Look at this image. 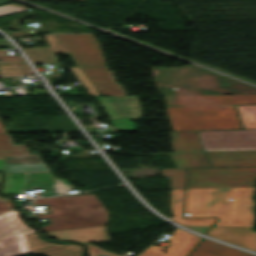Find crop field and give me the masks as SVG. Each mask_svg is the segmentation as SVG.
Here are the masks:
<instances>
[{
  "instance_id": "crop-field-25",
  "label": "crop field",
  "mask_w": 256,
  "mask_h": 256,
  "mask_svg": "<svg viewBox=\"0 0 256 256\" xmlns=\"http://www.w3.org/2000/svg\"><path fill=\"white\" fill-rule=\"evenodd\" d=\"M243 128L256 129V105L236 106Z\"/></svg>"
},
{
  "instance_id": "crop-field-24",
  "label": "crop field",
  "mask_w": 256,
  "mask_h": 256,
  "mask_svg": "<svg viewBox=\"0 0 256 256\" xmlns=\"http://www.w3.org/2000/svg\"><path fill=\"white\" fill-rule=\"evenodd\" d=\"M29 154L25 145H12L8 134H0V155L19 156Z\"/></svg>"
},
{
  "instance_id": "crop-field-36",
  "label": "crop field",
  "mask_w": 256,
  "mask_h": 256,
  "mask_svg": "<svg viewBox=\"0 0 256 256\" xmlns=\"http://www.w3.org/2000/svg\"><path fill=\"white\" fill-rule=\"evenodd\" d=\"M8 205H9V207L12 209V206H11V201H8V202H6Z\"/></svg>"
},
{
  "instance_id": "crop-field-2",
  "label": "crop field",
  "mask_w": 256,
  "mask_h": 256,
  "mask_svg": "<svg viewBox=\"0 0 256 256\" xmlns=\"http://www.w3.org/2000/svg\"><path fill=\"white\" fill-rule=\"evenodd\" d=\"M255 188L187 189L184 213L190 216H217L214 225L253 226L251 201ZM233 198V200H228Z\"/></svg>"
},
{
  "instance_id": "crop-field-37",
  "label": "crop field",
  "mask_w": 256,
  "mask_h": 256,
  "mask_svg": "<svg viewBox=\"0 0 256 256\" xmlns=\"http://www.w3.org/2000/svg\"><path fill=\"white\" fill-rule=\"evenodd\" d=\"M10 0H0V3L8 2Z\"/></svg>"
},
{
  "instance_id": "crop-field-12",
  "label": "crop field",
  "mask_w": 256,
  "mask_h": 256,
  "mask_svg": "<svg viewBox=\"0 0 256 256\" xmlns=\"http://www.w3.org/2000/svg\"><path fill=\"white\" fill-rule=\"evenodd\" d=\"M252 227L212 226L207 235L256 251V233Z\"/></svg>"
},
{
  "instance_id": "crop-field-9",
  "label": "crop field",
  "mask_w": 256,
  "mask_h": 256,
  "mask_svg": "<svg viewBox=\"0 0 256 256\" xmlns=\"http://www.w3.org/2000/svg\"><path fill=\"white\" fill-rule=\"evenodd\" d=\"M69 50L78 66H105L92 34H55Z\"/></svg>"
},
{
  "instance_id": "crop-field-21",
  "label": "crop field",
  "mask_w": 256,
  "mask_h": 256,
  "mask_svg": "<svg viewBox=\"0 0 256 256\" xmlns=\"http://www.w3.org/2000/svg\"><path fill=\"white\" fill-rule=\"evenodd\" d=\"M175 152L202 151L195 131L172 132Z\"/></svg>"
},
{
  "instance_id": "crop-field-18",
  "label": "crop field",
  "mask_w": 256,
  "mask_h": 256,
  "mask_svg": "<svg viewBox=\"0 0 256 256\" xmlns=\"http://www.w3.org/2000/svg\"><path fill=\"white\" fill-rule=\"evenodd\" d=\"M30 233L34 232L19 219L16 211L0 215V239Z\"/></svg>"
},
{
  "instance_id": "crop-field-15",
  "label": "crop field",
  "mask_w": 256,
  "mask_h": 256,
  "mask_svg": "<svg viewBox=\"0 0 256 256\" xmlns=\"http://www.w3.org/2000/svg\"><path fill=\"white\" fill-rule=\"evenodd\" d=\"M32 254L43 256H80L81 246L54 245L40 240L36 234L25 235Z\"/></svg>"
},
{
  "instance_id": "crop-field-28",
  "label": "crop field",
  "mask_w": 256,
  "mask_h": 256,
  "mask_svg": "<svg viewBox=\"0 0 256 256\" xmlns=\"http://www.w3.org/2000/svg\"><path fill=\"white\" fill-rule=\"evenodd\" d=\"M118 131H132L136 130L129 119L110 120Z\"/></svg>"
},
{
  "instance_id": "crop-field-3",
  "label": "crop field",
  "mask_w": 256,
  "mask_h": 256,
  "mask_svg": "<svg viewBox=\"0 0 256 256\" xmlns=\"http://www.w3.org/2000/svg\"><path fill=\"white\" fill-rule=\"evenodd\" d=\"M162 94H252L256 89L229 80L193 65L152 68ZM176 87L177 90H173Z\"/></svg>"
},
{
  "instance_id": "crop-field-1",
  "label": "crop field",
  "mask_w": 256,
  "mask_h": 256,
  "mask_svg": "<svg viewBox=\"0 0 256 256\" xmlns=\"http://www.w3.org/2000/svg\"><path fill=\"white\" fill-rule=\"evenodd\" d=\"M173 131L241 129L233 106L254 104L253 95H164Z\"/></svg>"
},
{
  "instance_id": "crop-field-6",
  "label": "crop field",
  "mask_w": 256,
  "mask_h": 256,
  "mask_svg": "<svg viewBox=\"0 0 256 256\" xmlns=\"http://www.w3.org/2000/svg\"><path fill=\"white\" fill-rule=\"evenodd\" d=\"M204 150L256 149V130L197 131Z\"/></svg>"
},
{
  "instance_id": "crop-field-17",
  "label": "crop field",
  "mask_w": 256,
  "mask_h": 256,
  "mask_svg": "<svg viewBox=\"0 0 256 256\" xmlns=\"http://www.w3.org/2000/svg\"><path fill=\"white\" fill-rule=\"evenodd\" d=\"M44 37L49 46L24 49L33 63L57 62L54 53L68 52L54 34Z\"/></svg>"
},
{
  "instance_id": "crop-field-38",
  "label": "crop field",
  "mask_w": 256,
  "mask_h": 256,
  "mask_svg": "<svg viewBox=\"0 0 256 256\" xmlns=\"http://www.w3.org/2000/svg\"><path fill=\"white\" fill-rule=\"evenodd\" d=\"M0 180H1V176H0ZM0 199H9V198H1V197H0Z\"/></svg>"
},
{
  "instance_id": "crop-field-14",
  "label": "crop field",
  "mask_w": 256,
  "mask_h": 256,
  "mask_svg": "<svg viewBox=\"0 0 256 256\" xmlns=\"http://www.w3.org/2000/svg\"><path fill=\"white\" fill-rule=\"evenodd\" d=\"M47 234L64 241H80L82 243L110 240L106 226L51 231Z\"/></svg>"
},
{
  "instance_id": "crop-field-31",
  "label": "crop field",
  "mask_w": 256,
  "mask_h": 256,
  "mask_svg": "<svg viewBox=\"0 0 256 256\" xmlns=\"http://www.w3.org/2000/svg\"><path fill=\"white\" fill-rule=\"evenodd\" d=\"M186 228L201 232L203 234L206 233V231L209 229L210 226H184Z\"/></svg>"
},
{
  "instance_id": "crop-field-32",
  "label": "crop field",
  "mask_w": 256,
  "mask_h": 256,
  "mask_svg": "<svg viewBox=\"0 0 256 256\" xmlns=\"http://www.w3.org/2000/svg\"><path fill=\"white\" fill-rule=\"evenodd\" d=\"M0 48H13L6 39H0Z\"/></svg>"
},
{
  "instance_id": "crop-field-26",
  "label": "crop field",
  "mask_w": 256,
  "mask_h": 256,
  "mask_svg": "<svg viewBox=\"0 0 256 256\" xmlns=\"http://www.w3.org/2000/svg\"><path fill=\"white\" fill-rule=\"evenodd\" d=\"M1 75H31L34 72L26 63L0 64Z\"/></svg>"
},
{
  "instance_id": "crop-field-16",
  "label": "crop field",
  "mask_w": 256,
  "mask_h": 256,
  "mask_svg": "<svg viewBox=\"0 0 256 256\" xmlns=\"http://www.w3.org/2000/svg\"><path fill=\"white\" fill-rule=\"evenodd\" d=\"M0 170L4 172L49 171L38 154L19 157L0 156Z\"/></svg>"
},
{
  "instance_id": "crop-field-33",
  "label": "crop field",
  "mask_w": 256,
  "mask_h": 256,
  "mask_svg": "<svg viewBox=\"0 0 256 256\" xmlns=\"http://www.w3.org/2000/svg\"><path fill=\"white\" fill-rule=\"evenodd\" d=\"M9 181V174L5 173V180L2 183V193H6V184Z\"/></svg>"
},
{
  "instance_id": "crop-field-8",
  "label": "crop field",
  "mask_w": 256,
  "mask_h": 256,
  "mask_svg": "<svg viewBox=\"0 0 256 256\" xmlns=\"http://www.w3.org/2000/svg\"><path fill=\"white\" fill-rule=\"evenodd\" d=\"M110 68H71L88 95H126Z\"/></svg>"
},
{
  "instance_id": "crop-field-22",
  "label": "crop field",
  "mask_w": 256,
  "mask_h": 256,
  "mask_svg": "<svg viewBox=\"0 0 256 256\" xmlns=\"http://www.w3.org/2000/svg\"><path fill=\"white\" fill-rule=\"evenodd\" d=\"M27 253L22 235L0 240V256H17Z\"/></svg>"
},
{
  "instance_id": "crop-field-5",
  "label": "crop field",
  "mask_w": 256,
  "mask_h": 256,
  "mask_svg": "<svg viewBox=\"0 0 256 256\" xmlns=\"http://www.w3.org/2000/svg\"><path fill=\"white\" fill-rule=\"evenodd\" d=\"M256 167L188 169L187 188L254 187Z\"/></svg>"
},
{
  "instance_id": "crop-field-27",
  "label": "crop field",
  "mask_w": 256,
  "mask_h": 256,
  "mask_svg": "<svg viewBox=\"0 0 256 256\" xmlns=\"http://www.w3.org/2000/svg\"><path fill=\"white\" fill-rule=\"evenodd\" d=\"M162 175H171L172 189L185 188L186 169H162Z\"/></svg>"
},
{
  "instance_id": "crop-field-7",
  "label": "crop field",
  "mask_w": 256,
  "mask_h": 256,
  "mask_svg": "<svg viewBox=\"0 0 256 256\" xmlns=\"http://www.w3.org/2000/svg\"><path fill=\"white\" fill-rule=\"evenodd\" d=\"M10 181L7 185V193H21L22 189L42 188L43 196H53L67 193L72 189L71 185L59 178L54 177L50 172L38 173H9ZM34 185V187H31Z\"/></svg>"
},
{
  "instance_id": "crop-field-23",
  "label": "crop field",
  "mask_w": 256,
  "mask_h": 256,
  "mask_svg": "<svg viewBox=\"0 0 256 256\" xmlns=\"http://www.w3.org/2000/svg\"><path fill=\"white\" fill-rule=\"evenodd\" d=\"M177 168L209 167L203 153L195 154H171Z\"/></svg>"
},
{
  "instance_id": "crop-field-19",
  "label": "crop field",
  "mask_w": 256,
  "mask_h": 256,
  "mask_svg": "<svg viewBox=\"0 0 256 256\" xmlns=\"http://www.w3.org/2000/svg\"><path fill=\"white\" fill-rule=\"evenodd\" d=\"M189 256H253L233 248L202 239Z\"/></svg>"
},
{
  "instance_id": "crop-field-10",
  "label": "crop field",
  "mask_w": 256,
  "mask_h": 256,
  "mask_svg": "<svg viewBox=\"0 0 256 256\" xmlns=\"http://www.w3.org/2000/svg\"><path fill=\"white\" fill-rule=\"evenodd\" d=\"M110 118L141 117L136 96H95Z\"/></svg>"
},
{
  "instance_id": "crop-field-39",
  "label": "crop field",
  "mask_w": 256,
  "mask_h": 256,
  "mask_svg": "<svg viewBox=\"0 0 256 256\" xmlns=\"http://www.w3.org/2000/svg\"><path fill=\"white\" fill-rule=\"evenodd\" d=\"M0 201H8V200H0Z\"/></svg>"
},
{
  "instance_id": "crop-field-29",
  "label": "crop field",
  "mask_w": 256,
  "mask_h": 256,
  "mask_svg": "<svg viewBox=\"0 0 256 256\" xmlns=\"http://www.w3.org/2000/svg\"><path fill=\"white\" fill-rule=\"evenodd\" d=\"M0 63L24 62L21 56H6L4 50H0Z\"/></svg>"
},
{
  "instance_id": "crop-field-30",
  "label": "crop field",
  "mask_w": 256,
  "mask_h": 256,
  "mask_svg": "<svg viewBox=\"0 0 256 256\" xmlns=\"http://www.w3.org/2000/svg\"><path fill=\"white\" fill-rule=\"evenodd\" d=\"M86 246L88 247L89 256H95L96 254H103V255H108V256H118L115 254H111V253H109L99 247H96L94 245H91V244H87Z\"/></svg>"
},
{
  "instance_id": "crop-field-4",
  "label": "crop field",
  "mask_w": 256,
  "mask_h": 256,
  "mask_svg": "<svg viewBox=\"0 0 256 256\" xmlns=\"http://www.w3.org/2000/svg\"><path fill=\"white\" fill-rule=\"evenodd\" d=\"M40 204H48L53 213L38 216L51 220L43 227L45 231L106 225L108 219L106 209L93 194L34 199L33 205Z\"/></svg>"
},
{
  "instance_id": "crop-field-34",
  "label": "crop field",
  "mask_w": 256,
  "mask_h": 256,
  "mask_svg": "<svg viewBox=\"0 0 256 256\" xmlns=\"http://www.w3.org/2000/svg\"><path fill=\"white\" fill-rule=\"evenodd\" d=\"M9 209L4 205L3 202H0V213L4 211H8Z\"/></svg>"
},
{
  "instance_id": "crop-field-20",
  "label": "crop field",
  "mask_w": 256,
  "mask_h": 256,
  "mask_svg": "<svg viewBox=\"0 0 256 256\" xmlns=\"http://www.w3.org/2000/svg\"><path fill=\"white\" fill-rule=\"evenodd\" d=\"M183 192L184 189L172 190L170 193L171 207L174 218L171 219L181 225H212L215 218L206 219H181L183 208Z\"/></svg>"
},
{
  "instance_id": "crop-field-13",
  "label": "crop field",
  "mask_w": 256,
  "mask_h": 256,
  "mask_svg": "<svg viewBox=\"0 0 256 256\" xmlns=\"http://www.w3.org/2000/svg\"><path fill=\"white\" fill-rule=\"evenodd\" d=\"M212 167L256 166V150L207 151Z\"/></svg>"
},
{
  "instance_id": "crop-field-35",
  "label": "crop field",
  "mask_w": 256,
  "mask_h": 256,
  "mask_svg": "<svg viewBox=\"0 0 256 256\" xmlns=\"http://www.w3.org/2000/svg\"><path fill=\"white\" fill-rule=\"evenodd\" d=\"M0 133H6L4 128H3V125L1 123V121H0Z\"/></svg>"
},
{
  "instance_id": "crop-field-11",
  "label": "crop field",
  "mask_w": 256,
  "mask_h": 256,
  "mask_svg": "<svg viewBox=\"0 0 256 256\" xmlns=\"http://www.w3.org/2000/svg\"><path fill=\"white\" fill-rule=\"evenodd\" d=\"M198 239L199 237L176 228L168 239L173 242L166 249V254L161 252L164 248L152 245L139 256H185Z\"/></svg>"
}]
</instances>
